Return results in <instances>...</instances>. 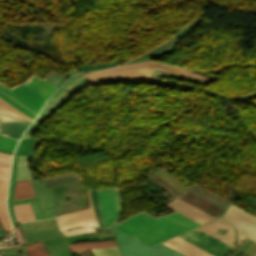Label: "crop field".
I'll return each instance as SVG.
<instances>
[{
    "instance_id": "crop-field-22",
    "label": "crop field",
    "mask_w": 256,
    "mask_h": 256,
    "mask_svg": "<svg viewBox=\"0 0 256 256\" xmlns=\"http://www.w3.org/2000/svg\"><path fill=\"white\" fill-rule=\"evenodd\" d=\"M29 256H48L41 242L25 245Z\"/></svg>"
},
{
    "instance_id": "crop-field-8",
    "label": "crop field",
    "mask_w": 256,
    "mask_h": 256,
    "mask_svg": "<svg viewBox=\"0 0 256 256\" xmlns=\"http://www.w3.org/2000/svg\"><path fill=\"white\" fill-rule=\"evenodd\" d=\"M178 237L213 256H226L233 249L197 229Z\"/></svg>"
},
{
    "instance_id": "crop-field-27",
    "label": "crop field",
    "mask_w": 256,
    "mask_h": 256,
    "mask_svg": "<svg viewBox=\"0 0 256 256\" xmlns=\"http://www.w3.org/2000/svg\"><path fill=\"white\" fill-rule=\"evenodd\" d=\"M93 231H95L94 228H86V229L66 231V232H63V233L66 234V235H71V234L87 233V232H93Z\"/></svg>"
},
{
    "instance_id": "crop-field-4",
    "label": "crop field",
    "mask_w": 256,
    "mask_h": 256,
    "mask_svg": "<svg viewBox=\"0 0 256 256\" xmlns=\"http://www.w3.org/2000/svg\"><path fill=\"white\" fill-rule=\"evenodd\" d=\"M115 232L122 256H184L161 243L150 247L116 228Z\"/></svg>"
},
{
    "instance_id": "crop-field-10",
    "label": "crop field",
    "mask_w": 256,
    "mask_h": 256,
    "mask_svg": "<svg viewBox=\"0 0 256 256\" xmlns=\"http://www.w3.org/2000/svg\"><path fill=\"white\" fill-rule=\"evenodd\" d=\"M87 197L90 208L56 217L60 230L64 231L78 226H98L92 210L89 190H87Z\"/></svg>"
},
{
    "instance_id": "crop-field-21",
    "label": "crop field",
    "mask_w": 256,
    "mask_h": 256,
    "mask_svg": "<svg viewBox=\"0 0 256 256\" xmlns=\"http://www.w3.org/2000/svg\"><path fill=\"white\" fill-rule=\"evenodd\" d=\"M16 180H31L28 170L26 157L19 156L17 162V179Z\"/></svg>"
},
{
    "instance_id": "crop-field-20",
    "label": "crop field",
    "mask_w": 256,
    "mask_h": 256,
    "mask_svg": "<svg viewBox=\"0 0 256 256\" xmlns=\"http://www.w3.org/2000/svg\"><path fill=\"white\" fill-rule=\"evenodd\" d=\"M73 251L83 250V249H93V248H103V247H113L115 243L113 240L102 241V242H88V243H76L68 245Z\"/></svg>"
},
{
    "instance_id": "crop-field-19",
    "label": "crop field",
    "mask_w": 256,
    "mask_h": 256,
    "mask_svg": "<svg viewBox=\"0 0 256 256\" xmlns=\"http://www.w3.org/2000/svg\"><path fill=\"white\" fill-rule=\"evenodd\" d=\"M17 158L18 156H14V159H13L10 184H9V192H8V200H7V206H8L9 215H10L12 224L16 223L14 213H13V208H12V197H13V190H14V184H15V167H16Z\"/></svg>"
},
{
    "instance_id": "crop-field-24",
    "label": "crop field",
    "mask_w": 256,
    "mask_h": 256,
    "mask_svg": "<svg viewBox=\"0 0 256 256\" xmlns=\"http://www.w3.org/2000/svg\"><path fill=\"white\" fill-rule=\"evenodd\" d=\"M94 253V256H120L118 248H104V249H95L91 250Z\"/></svg>"
},
{
    "instance_id": "crop-field-23",
    "label": "crop field",
    "mask_w": 256,
    "mask_h": 256,
    "mask_svg": "<svg viewBox=\"0 0 256 256\" xmlns=\"http://www.w3.org/2000/svg\"><path fill=\"white\" fill-rule=\"evenodd\" d=\"M0 107L14 117L29 120V121L32 120L26 115H24L23 113H21L20 111H18L17 109H15L14 107H12L11 105H9L8 103H6L5 101H3L1 98H0Z\"/></svg>"
},
{
    "instance_id": "crop-field-1",
    "label": "crop field",
    "mask_w": 256,
    "mask_h": 256,
    "mask_svg": "<svg viewBox=\"0 0 256 256\" xmlns=\"http://www.w3.org/2000/svg\"><path fill=\"white\" fill-rule=\"evenodd\" d=\"M198 225L200 224L177 212L155 219L142 212L115 226L139 240L153 245Z\"/></svg>"
},
{
    "instance_id": "crop-field-7",
    "label": "crop field",
    "mask_w": 256,
    "mask_h": 256,
    "mask_svg": "<svg viewBox=\"0 0 256 256\" xmlns=\"http://www.w3.org/2000/svg\"><path fill=\"white\" fill-rule=\"evenodd\" d=\"M103 227L115 224L121 210L116 188L97 190Z\"/></svg>"
},
{
    "instance_id": "crop-field-6",
    "label": "crop field",
    "mask_w": 256,
    "mask_h": 256,
    "mask_svg": "<svg viewBox=\"0 0 256 256\" xmlns=\"http://www.w3.org/2000/svg\"><path fill=\"white\" fill-rule=\"evenodd\" d=\"M223 217L237 230L238 244L246 236L256 242V217L232 205Z\"/></svg>"
},
{
    "instance_id": "crop-field-2",
    "label": "crop field",
    "mask_w": 256,
    "mask_h": 256,
    "mask_svg": "<svg viewBox=\"0 0 256 256\" xmlns=\"http://www.w3.org/2000/svg\"><path fill=\"white\" fill-rule=\"evenodd\" d=\"M155 69L190 76L194 78L204 79L208 81L213 80L210 78H205L201 75H198L196 73L190 72L182 68L162 64L160 62L155 61H144L140 63L122 65L111 69L86 73L85 76L87 77L90 84L129 81H151L174 84L149 76Z\"/></svg>"
},
{
    "instance_id": "crop-field-12",
    "label": "crop field",
    "mask_w": 256,
    "mask_h": 256,
    "mask_svg": "<svg viewBox=\"0 0 256 256\" xmlns=\"http://www.w3.org/2000/svg\"><path fill=\"white\" fill-rule=\"evenodd\" d=\"M165 205H168V206L174 208L176 211L188 216L189 218H191L201 224L215 219L214 217L196 209L195 207H193L177 198Z\"/></svg>"
},
{
    "instance_id": "crop-field-9",
    "label": "crop field",
    "mask_w": 256,
    "mask_h": 256,
    "mask_svg": "<svg viewBox=\"0 0 256 256\" xmlns=\"http://www.w3.org/2000/svg\"><path fill=\"white\" fill-rule=\"evenodd\" d=\"M37 197L25 200L13 201V204L30 202L36 219L53 217L51 214L52 196L45 184L38 180L31 181Z\"/></svg>"
},
{
    "instance_id": "crop-field-28",
    "label": "crop field",
    "mask_w": 256,
    "mask_h": 256,
    "mask_svg": "<svg viewBox=\"0 0 256 256\" xmlns=\"http://www.w3.org/2000/svg\"><path fill=\"white\" fill-rule=\"evenodd\" d=\"M11 156H12V155H10V154H6V153H1V152H0V162H1V163L10 164Z\"/></svg>"
},
{
    "instance_id": "crop-field-11",
    "label": "crop field",
    "mask_w": 256,
    "mask_h": 256,
    "mask_svg": "<svg viewBox=\"0 0 256 256\" xmlns=\"http://www.w3.org/2000/svg\"><path fill=\"white\" fill-rule=\"evenodd\" d=\"M9 169L10 165L0 163V223L2 224L4 230L11 229L5 206Z\"/></svg>"
},
{
    "instance_id": "crop-field-3",
    "label": "crop field",
    "mask_w": 256,
    "mask_h": 256,
    "mask_svg": "<svg viewBox=\"0 0 256 256\" xmlns=\"http://www.w3.org/2000/svg\"><path fill=\"white\" fill-rule=\"evenodd\" d=\"M24 84L47 99L57 87L46 79L41 80L33 75ZM25 85L20 83L8 89L0 83V90L34 113L38 114L47 99L40 96Z\"/></svg>"
},
{
    "instance_id": "crop-field-15",
    "label": "crop field",
    "mask_w": 256,
    "mask_h": 256,
    "mask_svg": "<svg viewBox=\"0 0 256 256\" xmlns=\"http://www.w3.org/2000/svg\"><path fill=\"white\" fill-rule=\"evenodd\" d=\"M180 238V237H179ZM177 237L162 242L163 244L173 248L174 250L186 255V256H211L206 252L192 246L191 244L179 239Z\"/></svg>"
},
{
    "instance_id": "crop-field-17",
    "label": "crop field",
    "mask_w": 256,
    "mask_h": 256,
    "mask_svg": "<svg viewBox=\"0 0 256 256\" xmlns=\"http://www.w3.org/2000/svg\"><path fill=\"white\" fill-rule=\"evenodd\" d=\"M36 196L30 181H16L13 200Z\"/></svg>"
},
{
    "instance_id": "crop-field-13",
    "label": "crop field",
    "mask_w": 256,
    "mask_h": 256,
    "mask_svg": "<svg viewBox=\"0 0 256 256\" xmlns=\"http://www.w3.org/2000/svg\"><path fill=\"white\" fill-rule=\"evenodd\" d=\"M28 125L29 122L0 115V134L2 135L18 139L21 132L25 131Z\"/></svg>"
},
{
    "instance_id": "crop-field-16",
    "label": "crop field",
    "mask_w": 256,
    "mask_h": 256,
    "mask_svg": "<svg viewBox=\"0 0 256 256\" xmlns=\"http://www.w3.org/2000/svg\"><path fill=\"white\" fill-rule=\"evenodd\" d=\"M55 199L84 192L82 180L51 187Z\"/></svg>"
},
{
    "instance_id": "crop-field-26",
    "label": "crop field",
    "mask_w": 256,
    "mask_h": 256,
    "mask_svg": "<svg viewBox=\"0 0 256 256\" xmlns=\"http://www.w3.org/2000/svg\"><path fill=\"white\" fill-rule=\"evenodd\" d=\"M0 97L5 100L6 102H8L9 104H11L12 106H14L15 108H17L18 110H20L21 112H23L24 114H26L27 116H29L30 118H34L35 115H33L32 113H30L29 111H27L26 109H24L22 106H20L19 104H17L16 102H14L13 100H11L10 98H8L7 96H5L4 94H2L0 92Z\"/></svg>"
},
{
    "instance_id": "crop-field-25",
    "label": "crop field",
    "mask_w": 256,
    "mask_h": 256,
    "mask_svg": "<svg viewBox=\"0 0 256 256\" xmlns=\"http://www.w3.org/2000/svg\"><path fill=\"white\" fill-rule=\"evenodd\" d=\"M18 140L0 136V148L13 151Z\"/></svg>"
},
{
    "instance_id": "crop-field-14",
    "label": "crop field",
    "mask_w": 256,
    "mask_h": 256,
    "mask_svg": "<svg viewBox=\"0 0 256 256\" xmlns=\"http://www.w3.org/2000/svg\"><path fill=\"white\" fill-rule=\"evenodd\" d=\"M217 228L228 229L226 236L215 234ZM198 229H200L216 238H220V241L226 243L227 245H229L231 247H233V245H234V230L222 218H220L214 222H211L205 226H202Z\"/></svg>"
},
{
    "instance_id": "crop-field-5",
    "label": "crop field",
    "mask_w": 256,
    "mask_h": 256,
    "mask_svg": "<svg viewBox=\"0 0 256 256\" xmlns=\"http://www.w3.org/2000/svg\"><path fill=\"white\" fill-rule=\"evenodd\" d=\"M88 84L86 77L83 75H76L71 79L67 80L62 86L58 88V90L54 93V95L47 102L41 113L29 127V129L23 134L22 138L31 137L33 132L36 130L38 125L45 120L65 99H67L72 93H74L80 87ZM79 85V86H78ZM78 86V87H76ZM73 89L67 96L61 99L68 91ZM61 99V100H60Z\"/></svg>"
},
{
    "instance_id": "crop-field-18",
    "label": "crop field",
    "mask_w": 256,
    "mask_h": 256,
    "mask_svg": "<svg viewBox=\"0 0 256 256\" xmlns=\"http://www.w3.org/2000/svg\"><path fill=\"white\" fill-rule=\"evenodd\" d=\"M17 222L35 219L29 203L13 205Z\"/></svg>"
}]
</instances>
